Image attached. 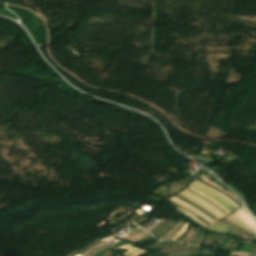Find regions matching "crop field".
Here are the masks:
<instances>
[{"label":"crop field","instance_id":"cbeb9de0","mask_svg":"<svg viewBox=\"0 0 256 256\" xmlns=\"http://www.w3.org/2000/svg\"><path fill=\"white\" fill-rule=\"evenodd\" d=\"M177 209H179V210H181V211H183V212L189 214V215L192 216L195 220H197V221L200 222L201 224L205 225L204 223H202L201 221H199L196 217H194L192 214H190V213H188V212H186V211H184V210H182V209H180V208H177ZM192 217H191V218H192ZM205 226H207V225H205Z\"/></svg>","mask_w":256,"mask_h":256},{"label":"crop field","instance_id":"412701ff","mask_svg":"<svg viewBox=\"0 0 256 256\" xmlns=\"http://www.w3.org/2000/svg\"><path fill=\"white\" fill-rule=\"evenodd\" d=\"M119 248L127 249L128 251L123 253V254L127 255V254L132 253V255H130V256H139V255L145 253V251L140 250V249H138V248H136V247H134V246H132L130 244H127V245H125L123 247H119ZM116 249H118V248H116Z\"/></svg>","mask_w":256,"mask_h":256},{"label":"crop field","instance_id":"d9b57169","mask_svg":"<svg viewBox=\"0 0 256 256\" xmlns=\"http://www.w3.org/2000/svg\"><path fill=\"white\" fill-rule=\"evenodd\" d=\"M182 223H183V221L167 237H165L164 239H167L173 232H175L180 227V225Z\"/></svg>","mask_w":256,"mask_h":256},{"label":"crop field","instance_id":"8a807250","mask_svg":"<svg viewBox=\"0 0 256 256\" xmlns=\"http://www.w3.org/2000/svg\"><path fill=\"white\" fill-rule=\"evenodd\" d=\"M179 194H181V195L185 196L186 198L190 199L191 201L199 204L204 209H206L207 211H209L210 213H212L213 215H215L218 218L225 215L223 212H221L220 210L215 208L213 205L208 203L206 200H204L200 196H198V195H196V194H194V193H192L188 190H184Z\"/></svg>","mask_w":256,"mask_h":256},{"label":"crop field","instance_id":"dd49c442","mask_svg":"<svg viewBox=\"0 0 256 256\" xmlns=\"http://www.w3.org/2000/svg\"><path fill=\"white\" fill-rule=\"evenodd\" d=\"M224 219H226V220H228V221H230V222H232V223H234V224H236V225H238V226H240V227H242V228L248 230V231L251 232L252 234L256 235V232H255V231L251 230L250 228H248L247 226H245L243 223H241L240 221H238L237 219H235V218L232 217L231 215L228 216V217H226V218H224Z\"/></svg>","mask_w":256,"mask_h":256},{"label":"crop field","instance_id":"3316defc","mask_svg":"<svg viewBox=\"0 0 256 256\" xmlns=\"http://www.w3.org/2000/svg\"><path fill=\"white\" fill-rule=\"evenodd\" d=\"M188 224H185V226L172 238V239H177L187 228Z\"/></svg>","mask_w":256,"mask_h":256},{"label":"crop field","instance_id":"e52e79f7","mask_svg":"<svg viewBox=\"0 0 256 256\" xmlns=\"http://www.w3.org/2000/svg\"><path fill=\"white\" fill-rule=\"evenodd\" d=\"M124 244H127V242H125L124 240L116 243V244H113V245H110L108 247L110 248H116V247H119L121 245H124ZM109 249L107 248H103L102 250H100L97 254H95L94 256H101L102 254H104L106 251H108Z\"/></svg>","mask_w":256,"mask_h":256},{"label":"crop field","instance_id":"34b2d1b8","mask_svg":"<svg viewBox=\"0 0 256 256\" xmlns=\"http://www.w3.org/2000/svg\"><path fill=\"white\" fill-rule=\"evenodd\" d=\"M235 214H237L241 219H243L245 222H247L248 224H250L251 226H253L256 229V222L255 220L252 218V216L246 211L245 207L239 209L238 211L234 212ZM231 214L233 215L235 218H237L238 220H240L241 222H243L245 225H247L248 227L252 228L253 230H255L253 227H251L250 225H248L247 223H245L243 220H241L237 215L235 214ZM256 231V230H255Z\"/></svg>","mask_w":256,"mask_h":256},{"label":"crop field","instance_id":"d1516ede","mask_svg":"<svg viewBox=\"0 0 256 256\" xmlns=\"http://www.w3.org/2000/svg\"><path fill=\"white\" fill-rule=\"evenodd\" d=\"M194 181H196V180H194ZM197 182V181H196ZM199 183V182H198ZM199 184H201V183H199ZM201 185H203V184H201ZM203 186H205V185H203ZM205 187H207V186H205ZM207 188H209V187H207ZM209 189H211V188H209ZM212 190V189H211ZM213 191H215V190H213ZM215 192H217V191H215ZM217 193H219V192H217ZM219 194H221V193H219ZM222 196H224L226 199H228L231 203H233L229 198H227L225 195H223V194H221ZM236 207H238L235 203H233Z\"/></svg>","mask_w":256,"mask_h":256},{"label":"crop field","instance_id":"f4fd0767","mask_svg":"<svg viewBox=\"0 0 256 256\" xmlns=\"http://www.w3.org/2000/svg\"><path fill=\"white\" fill-rule=\"evenodd\" d=\"M207 229L211 230V231H215V232L225 234L228 231L229 227H227L225 225H222L218 222H215V223L211 224L210 226H208Z\"/></svg>","mask_w":256,"mask_h":256},{"label":"crop field","instance_id":"ac0d7876","mask_svg":"<svg viewBox=\"0 0 256 256\" xmlns=\"http://www.w3.org/2000/svg\"><path fill=\"white\" fill-rule=\"evenodd\" d=\"M192 183H194V182H192ZM192 183H191V185H193V186L197 185L198 187H200V188H202V189H204V190H206V191H208V192L213 193L214 195H216V196H218L219 198H221V199H223L224 201H226V202H227L229 205H231L234 209H236V207H235L234 205H232V204H231L228 200H226L224 197H222V196H220V195H218V194H216V193H214V192H212V191H210V190H208V189H206V188H204V187H202V186H200V185H198V184H196V183H194L195 185L192 184ZM191 185H190V187H192V188H194V189H196V190H198V191L204 193V194L207 195V196H209V195L213 196L214 198H216L217 200H219L221 203H223L225 206H227L229 209H231L232 211L234 210V209H233L232 207H230L226 202H224L223 200L219 199L218 197H216V196H214V195H212V194H210V193H208V192L205 191L206 193L209 194V195H208V194H206L205 192H203L204 190L201 191L202 189L199 190L200 188L197 189V188H198L197 186H195V187H197V188H195V187H193V186H191ZM190 187H188V188H190ZM192 188H190V189H192ZM194 189H192V190H194ZM196 190H194V191H196ZM198 191H196V192L199 193V194H201V195H203V196H205L204 194H202V193H200V192H198ZM207 196H205V197L208 198V199H210V198L214 199V198L211 197V196H209L210 198L207 197ZM212 199H210V200H212ZM216 199H214V200L217 201ZM214 200H212V201L215 202ZM217 202H218V201H217ZM217 202H215L217 205L221 204L220 202H218L219 204H218ZM221 205H222V204H221ZM221 205H219L221 208H223V207L226 208L224 205H222L223 207H222ZM224 208H223V209H224ZM228 208H226V209H227L229 212H231V210H229ZM224 210H225V209H224ZM227 210H225V211H227ZM228 211H227V212H228ZM229 212H228V213H229Z\"/></svg>","mask_w":256,"mask_h":256},{"label":"crop field","instance_id":"d8731c3e","mask_svg":"<svg viewBox=\"0 0 256 256\" xmlns=\"http://www.w3.org/2000/svg\"><path fill=\"white\" fill-rule=\"evenodd\" d=\"M178 195H179V194H178ZM178 195H175V196H177V197L181 198L182 200L186 201L187 203H189V204H191V205L195 206L196 208L200 209L203 213L206 211V210L204 211L202 208L198 207L199 205H198V206H196V205H194V204L190 203V202H189L190 200H189V201H187L188 199H187V200H185L186 198H185V199H183V198H182L183 196H182V197H180L181 195H180V196H178ZM175 196H174V197H175ZM177 197H176V198H177ZM179 198H178V199H179ZM184 201H183V202H184ZM186 202H185V203H186ZM200 210H199V211H200ZM201 211H200V212H201ZM206 212H207V211H206ZM206 212H205V213H206ZM205 213H204V215H206L207 217H209L210 215H212V214H210L209 212H208V213H209L210 215L207 213L209 216H208L207 214H205ZM212 216H213V215H212ZM212 216H211V217H212ZM211 217H209L211 220H213L214 218H216L215 216H213L214 218L212 217L213 219H212ZM216 219H218V218H216ZM216 219H215V220H216ZM213 221H214V220H213Z\"/></svg>","mask_w":256,"mask_h":256},{"label":"crop field","instance_id":"4a817a6b","mask_svg":"<svg viewBox=\"0 0 256 256\" xmlns=\"http://www.w3.org/2000/svg\"><path fill=\"white\" fill-rule=\"evenodd\" d=\"M163 219H164V218H163ZM163 219H162V220H163ZM162 220H161V221H162ZM159 222H160V221H159ZM159 222H158V223H159ZM158 223H156V224H158ZM156 224H154L153 226H155ZM153 226H151L149 229H151ZM149 229H147V231H148Z\"/></svg>","mask_w":256,"mask_h":256},{"label":"crop field","instance_id":"5142ce71","mask_svg":"<svg viewBox=\"0 0 256 256\" xmlns=\"http://www.w3.org/2000/svg\"><path fill=\"white\" fill-rule=\"evenodd\" d=\"M111 235V234H110ZM110 235H108V236H110ZM108 236H106V237H108ZM106 237H104V238H106ZM104 238H102V239H104ZM102 239H99V240H102ZM96 241H98V240H96ZM96 241H94V242H96ZM94 242H92V243H94ZM92 243H89V244H87L86 246H84L81 250H83L84 248H86V247H88L89 245H91ZM81 250H79V251H81ZM78 251V252H79ZM77 252V253H78ZM77 253H75L73 256H75Z\"/></svg>","mask_w":256,"mask_h":256},{"label":"crop field","instance_id":"22f410ed","mask_svg":"<svg viewBox=\"0 0 256 256\" xmlns=\"http://www.w3.org/2000/svg\"><path fill=\"white\" fill-rule=\"evenodd\" d=\"M188 190H190V189H188ZM190 191H192V190H190ZM192 192H194V191H192ZM194 193H196V192H194ZM197 194V193H196ZM199 195V194H198ZM201 196V195H200ZM202 198V197H201ZM204 198V197H203ZM205 199V198H204ZM207 200V199H206ZM207 201H209V200H207ZM211 204H213L215 207H217L218 209H220L221 211H223L224 213H226L224 210H222L220 207H218L216 204H214L213 202H211V201H209ZM226 214H228V213H226Z\"/></svg>","mask_w":256,"mask_h":256},{"label":"crop field","instance_id":"28ad6ade","mask_svg":"<svg viewBox=\"0 0 256 256\" xmlns=\"http://www.w3.org/2000/svg\"><path fill=\"white\" fill-rule=\"evenodd\" d=\"M171 198H173V199H175V200H177V201H179V202H181L180 200H178V199H176V198H174V197H171ZM181 203H183V202H181ZM183 204H185V203H183ZM185 205H187V204H185ZM188 207H190L189 205H187ZM191 209H193L194 211H196L197 213H199V214H201L202 216H204L202 213H200L198 210H196V209H194V208H192V207H190ZM206 219H208L209 221H211L209 218H207L206 216H204ZM211 222H213V221H211Z\"/></svg>","mask_w":256,"mask_h":256},{"label":"crop field","instance_id":"733c2abd","mask_svg":"<svg viewBox=\"0 0 256 256\" xmlns=\"http://www.w3.org/2000/svg\"><path fill=\"white\" fill-rule=\"evenodd\" d=\"M180 222V221H179ZM178 222V223H179ZM178 223L177 224H175L167 233H165L162 237H164L166 234H168L171 230H173L177 225H178ZM162 237H160V238H162Z\"/></svg>","mask_w":256,"mask_h":256},{"label":"crop field","instance_id":"bc2a9ffb","mask_svg":"<svg viewBox=\"0 0 256 256\" xmlns=\"http://www.w3.org/2000/svg\"><path fill=\"white\" fill-rule=\"evenodd\" d=\"M145 231H143V232H141V233H139V234H142V233H144ZM139 234H137V235H139ZM137 235H135V236H137ZM132 237H134V236H132ZM131 238V237H130ZM127 239H129V238H127Z\"/></svg>","mask_w":256,"mask_h":256},{"label":"crop field","instance_id":"5a996713","mask_svg":"<svg viewBox=\"0 0 256 256\" xmlns=\"http://www.w3.org/2000/svg\"><path fill=\"white\" fill-rule=\"evenodd\" d=\"M169 199H171V198H169ZM171 200H173V199H171ZM174 202H176V203H178V204H180L181 206H183V207H185V208H187V209H189V210H191L190 208H188L187 206H185V205H183V204H181V203H179V202H177V201H175V200H173ZM192 212H194L193 210H191ZM196 215H198L200 218H202L203 220H205V221H207V222H209L208 220H206L204 217H202L201 215H199V214H197L196 212H194ZM210 223V222H209Z\"/></svg>","mask_w":256,"mask_h":256}]
</instances>
